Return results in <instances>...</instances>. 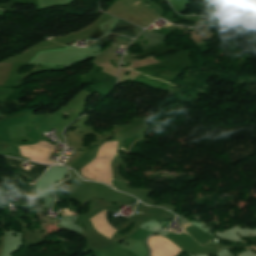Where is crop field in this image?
Masks as SVG:
<instances>
[{
	"instance_id": "1",
	"label": "crop field",
	"mask_w": 256,
	"mask_h": 256,
	"mask_svg": "<svg viewBox=\"0 0 256 256\" xmlns=\"http://www.w3.org/2000/svg\"><path fill=\"white\" fill-rule=\"evenodd\" d=\"M5 158L9 164V166H10V164H12L13 166H11V167L17 168L18 171L20 172V174L28 179H30L29 178L30 176L36 179L41 174V172L47 167V166H42V165L36 164L33 167H31L29 170H25L21 167L22 161H18L16 159L7 158V157H5ZM33 172H37V176L32 175L31 173H33Z\"/></svg>"
},
{
	"instance_id": "2",
	"label": "crop field",
	"mask_w": 256,
	"mask_h": 256,
	"mask_svg": "<svg viewBox=\"0 0 256 256\" xmlns=\"http://www.w3.org/2000/svg\"><path fill=\"white\" fill-rule=\"evenodd\" d=\"M142 31L141 28L126 23L117 22L111 32L122 34L129 37H135Z\"/></svg>"
},
{
	"instance_id": "3",
	"label": "crop field",
	"mask_w": 256,
	"mask_h": 256,
	"mask_svg": "<svg viewBox=\"0 0 256 256\" xmlns=\"http://www.w3.org/2000/svg\"><path fill=\"white\" fill-rule=\"evenodd\" d=\"M142 35H144V36L150 41V44H149V42H148V40H147V42H148V44H149V45L147 46V48H150V47H152V46H155V45H158V44L163 43V40L167 37V36L160 35V34L153 33V32H149V31L143 32ZM144 36H143V38H145ZM146 38H145V39H146ZM143 46H144V45H143ZM141 47H142V46H141ZM147 48H146V46L143 47L144 50L147 49Z\"/></svg>"
},
{
	"instance_id": "4",
	"label": "crop field",
	"mask_w": 256,
	"mask_h": 256,
	"mask_svg": "<svg viewBox=\"0 0 256 256\" xmlns=\"http://www.w3.org/2000/svg\"><path fill=\"white\" fill-rule=\"evenodd\" d=\"M114 213H116V212L107 210L105 213V218L111 227L118 229L119 227H117L116 224L118 223V224L122 225L123 223L126 222L127 218L118 216L115 219H111L110 216Z\"/></svg>"
},
{
	"instance_id": "5",
	"label": "crop field",
	"mask_w": 256,
	"mask_h": 256,
	"mask_svg": "<svg viewBox=\"0 0 256 256\" xmlns=\"http://www.w3.org/2000/svg\"><path fill=\"white\" fill-rule=\"evenodd\" d=\"M190 226H192V224H190V223H185V224H183V229H185V228H187V227H190Z\"/></svg>"
},
{
	"instance_id": "6",
	"label": "crop field",
	"mask_w": 256,
	"mask_h": 256,
	"mask_svg": "<svg viewBox=\"0 0 256 256\" xmlns=\"http://www.w3.org/2000/svg\"><path fill=\"white\" fill-rule=\"evenodd\" d=\"M118 39H121V40H128V41H131L130 39H128V38H124V37H120V36H118Z\"/></svg>"
},
{
	"instance_id": "7",
	"label": "crop field",
	"mask_w": 256,
	"mask_h": 256,
	"mask_svg": "<svg viewBox=\"0 0 256 256\" xmlns=\"http://www.w3.org/2000/svg\"><path fill=\"white\" fill-rule=\"evenodd\" d=\"M139 2L137 1L136 3H134V5L138 4Z\"/></svg>"
},
{
	"instance_id": "8",
	"label": "crop field",
	"mask_w": 256,
	"mask_h": 256,
	"mask_svg": "<svg viewBox=\"0 0 256 256\" xmlns=\"http://www.w3.org/2000/svg\"><path fill=\"white\" fill-rule=\"evenodd\" d=\"M186 256H189L188 254H186Z\"/></svg>"
},
{
	"instance_id": "9",
	"label": "crop field",
	"mask_w": 256,
	"mask_h": 256,
	"mask_svg": "<svg viewBox=\"0 0 256 256\" xmlns=\"http://www.w3.org/2000/svg\"><path fill=\"white\" fill-rule=\"evenodd\" d=\"M185 233V231H183Z\"/></svg>"
},
{
	"instance_id": "10",
	"label": "crop field",
	"mask_w": 256,
	"mask_h": 256,
	"mask_svg": "<svg viewBox=\"0 0 256 256\" xmlns=\"http://www.w3.org/2000/svg\"><path fill=\"white\" fill-rule=\"evenodd\" d=\"M50 160V159H49Z\"/></svg>"
}]
</instances>
